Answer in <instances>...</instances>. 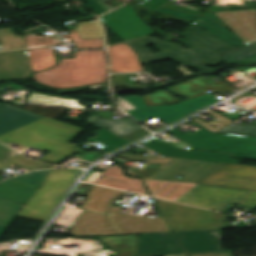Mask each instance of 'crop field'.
<instances>
[{
	"instance_id": "crop-field-1",
	"label": "crop field",
	"mask_w": 256,
	"mask_h": 256,
	"mask_svg": "<svg viewBox=\"0 0 256 256\" xmlns=\"http://www.w3.org/2000/svg\"><path fill=\"white\" fill-rule=\"evenodd\" d=\"M183 32L184 38L178 42L187 47V50L178 44L164 42L154 37L127 43L137 51L142 64L170 58L177 64H184L200 72L213 71L205 66L222 64L218 55L225 50L235 48L192 23ZM149 44L154 45L161 53L151 54L146 48Z\"/></svg>"
},
{
	"instance_id": "crop-field-2",
	"label": "crop field",
	"mask_w": 256,
	"mask_h": 256,
	"mask_svg": "<svg viewBox=\"0 0 256 256\" xmlns=\"http://www.w3.org/2000/svg\"><path fill=\"white\" fill-rule=\"evenodd\" d=\"M80 131L81 129L44 117L1 135L0 142L3 144L14 142L26 147L48 151L50 153L41 159V161L58 165L76 153L72 149L77 146L75 144H69V142Z\"/></svg>"
},
{
	"instance_id": "crop-field-3",
	"label": "crop field",
	"mask_w": 256,
	"mask_h": 256,
	"mask_svg": "<svg viewBox=\"0 0 256 256\" xmlns=\"http://www.w3.org/2000/svg\"><path fill=\"white\" fill-rule=\"evenodd\" d=\"M193 135H185L175 129L168 133L182 139L191 146L187 149L233 153L232 157L256 160V137L213 133L204 127Z\"/></svg>"
},
{
	"instance_id": "crop-field-4",
	"label": "crop field",
	"mask_w": 256,
	"mask_h": 256,
	"mask_svg": "<svg viewBox=\"0 0 256 256\" xmlns=\"http://www.w3.org/2000/svg\"><path fill=\"white\" fill-rule=\"evenodd\" d=\"M173 231L226 229L227 214L154 199Z\"/></svg>"
},
{
	"instance_id": "crop-field-5",
	"label": "crop field",
	"mask_w": 256,
	"mask_h": 256,
	"mask_svg": "<svg viewBox=\"0 0 256 256\" xmlns=\"http://www.w3.org/2000/svg\"><path fill=\"white\" fill-rule=\"evenodd\" d=\"M79 171L77 169L53 170L18 216L46 221L48 215Z\"/></svg>"
},
{
	"instance_id": "crop-field-6",
	"label": "crop field",
	"mask_w": 256,
	"mask_h": 256,
	"mask_svg": "<svg viewBox=\"0 0 256 256\" xmlns=\"http://www.w3.org/2000/svg\"><path fill=\"white\" fill-rule=\"evenodd\" d=\"M178 202L224 212L227 204L256 206V192L198 184Z\"/></svg>"
},
{
	"instance_id": "crop-field-7",
	"label": "crop field",
	"mask_w": 256,
	"mask_h": 256,
	"mask_svg": "<svg viewBox=\"0 0 256 256\" xmlns=\"http://www.w3.org/2000/svg\"><path fill=\"white\" fill-rule=\"evenodd\" d=\"M124 99L136 108L127 112L138 121L141 122L154 115L168 124L208 104L217 102L216 99L210 94L203 95L198 98L176 104L174 106L160 107H146L142 98L137 95H131Z\"/></svg>"
},
{
	"instance_id": "crop-field-8",
	"label": "crop field",
	"mask_w": 256,
	"mask_h": 256,
	"mask_svg": "<svg viewBox=\"0 0 256 256\" xmlns=\"http://www.w3.org/2000/svg\"><path fill=\"white\" fill-rule=\"evenodd\" d=\"M76 88L105 83L104 50L74 52Z\"/></svg>"
},
{
	"instance_id": "crop-field-9",
	"label": "crop field",
	"mask_w": 256,
	"mask_h": 256,
	"mask_svg": "<svg viewBox=\"0 0 256 256\" xmlns=\"http://www.w3.org/2000/svg\"><path fill=\"white\" fill-rule=\"evenodd\" d=\"M100 19L124 41L156 33L148 25L141 22L131 6L112 11Z\"/></svg>"
},
{
	"instance_id": "crop-field-10",
	"label": "crop field",
	"mask_w": 256,
	"mask_h": 256,
	"mask_svg": "<svg viewBox=\"0 0 256 256\" xmlns=\"http://www.w3.org/2000/svg\"><path fill=\"white\" fill-rule=\"evenodd\" d=\"M114 206L111 203L107 209V214L119 234L171 231L163 217L150 218L121 215L120 211L123 207Z\"/></svg>"
},
{
	"instance_id": "crop-field-11",
	"label": "crop field",
	"mask_w": 256,
	"mask_h": 256,
	"mask_svg": "<svg viewBox=\"0 0 256 256\" xmlns=\"http://www.w3.org/2000/svg\"><path fill=\"white\" fill-rule=\"evenodd\" d=\"M201 183L256 191V167L226 164Z\"/></svg>"
},
{
	"instance_id": "crop-field-12",
	"label": "crop field",
	"mask_w": 256,
	"mask_h": 256,
	"mask_svg": "<svg viewBox=\"0 0 256 256\" xmlns=\"http://www.w3.org/2000/svg\"><path fill=\"white\" fill-rule=\"evenodd\" d=\"M140 145L148 149H151L165 157H170V158L233 163V164H238L239 162V160L230 159L231 154H228V153L183 150L157 137H154Z\"/></svg>"
},
{
	"instance_id": "crop-field-13",
	"label": "crop field",
	"mask_w": 256,
	"mask_h": 256,
	"mask_svg": "<svg viewBox=\"0 0 256 256\" xmlns=\"http://www.w3.org/2000/svg\"><path fill=\"white\" fill-rule=\"evenodd\" d=\"M183 254L171 232L140 234L138 256Z\"/></svg>"
},
{
	"instance_id": "crop-field-14",
	"label": "crop field",
	"mask_w": 256,
	"mask_h": 256,
	"mask_svg": "<svg viewBox=\"0 0 256 256\" xmlns=\"http://www.w3.org/2000/svg\"><path fill=\"white\" fill-rule=\"evenodd\" d=\"M214 13L245 44L256 42V10Z\"/></svg>"
},
{
	"instance_id": "crop-field-15",
	"label": "crop field",
	"mask_w": 256,
	"mask_h": 256,
	"mask_svg": "<svg viewBox=\"0 0 256 256\" xmlns=\"http://www.w3.org/2000/svg\"><path fill=\"white\" fill-rule=\"evenodd\" d=\"M68 233L73 236L118 235L107 214L88 210L82 213Z\"/></svg>"
},
{
	"instance_id": "crop-field-16",
	"label": "crop field",
	"mask_w": 256,
	"mask_h": 256,
	"mask_svg": "<svg viewBox=\"0 0 256 256\" xmlns=\"http://www.w3.org/2000/svg\"><path fill=\"white\" fill-rule=\"evenodd\" d=\"M187 253L221 250V231H179L175 232Z\"/></svg>"
},
{
	"instance_id": "crop-field-17",
	"label": "crop field",
	"mask_w": 256,
	"mask_h": 256,
	"mask_svg": "<svg viewBox=\"0 0 256 256\" xmlns=\"http://www.w3.org/2000/svg\"><path fill=\"white\" fill-rule=\"evenodd\" d=\"M31 72L27 50L0 53V80L24 79Z\"/></svg>"
},
{
	"instance_id": "crop-field-18",
	"label": "crop field",
	"mask_w": 256,
	"mask_h": 256,
	"mask_svg": "<svg viewBox=\"0 0 256 256\" xmlns=\"http://www.w3.org/2000/svg\"><path fill=\"white\" fill-rule=\"evenodd\" d=\"M111 73L141 71L138 57L126 43L108 47Z\"/></svg>"
},
{
	"instance_id": "crop-field-19",
	"label": "crop field",
	"mask_w": 256,
	"mask_h": 256,
	"mask_svg": "<svg viewBox=\"0 0 256 256\" xmlns=\"http://www.w3.org/2000/svg\"><path fill=\"white\" fill-rule=\"evenodd\" d=\"M37 115L11 107L4 103L0 104V135L16 129L20 126L40 119Z\"/></svg>"
},
{
	"instance_id": "crop-field-20",
	"label": "crop field",
	"mask_w": 256,
	"mask_h": 256,
	"mask_svg": "<svg viewBox=\"0 0 256 256\" xmlns=\"http://www.w3.org/2000/svg\"><path fill=\"white\" fill-rule=\"evenodd\" d=\"M193 23L217 35L236 47L244 44L234 33L226 29L227 26L222 24L220 19L209 11L196 19Z\"/></svg>"
},
{
	"instance_id": "crop-field-21",
	"label": "crop field",
	"mask_w": 256,
	"mask_h": 256,
	"mask_svg": "<svg viewBox=\"0 0 256 256\" xmlns=\"http://www.w3.org/2000/svg\"><path fill=\"white\" fill-rule=\"evenodd\" d=\"M37 190L6 180L0 184V198L25 205Z\"/></svg>"
},
{
	"instance_id": "crop-field-22",
	"label": "crop field",
	"mask_w": 256,
	"mask_h": 256,
	"mask_svg": "<svg viewBox=\"0 0 256 256\" xmlns=\"http://www.w3.org/2000/svg\"><path fill=\"white\" fill-rule=\"evenodd\" d=\"M87 122L97 129L107 128L119 138L141 128L128 118L122 120H102L94 115L88 118Z\"/></svg>"
},
{
	"instance_id": "crop-field-23",
	"label": "crop field",
	"mask_w": 256,
	"mask_h": 256,
	"mask_svg": "<svg viewBox=\"0 0 256 256\" xmlns=\"http://www.w3.org/2000/svg\"><path fill=\"white\" fill-rule=\"evenodd\" d=\"M75 88L74 59H61L57 67L56 89Z\"/></svg>"
},
{
	"instance_id": "crop-field-24",
	"label": "crop field",
	"mask_w": 256,
	"mask_h": 256,
	"mask_svg": "<svg viewBox=\"0 0 256 256\" xmlns=\"http://www.w3.org/2000/svg\"><path fill=\"white\" fill-rule=\"evenodd\" d=\"M34 72L56 65L54 51L51 48L28 50Z\"/></svg>"
},
{
	"instance_id": "crop-field-25",
	"label": "crop field",
	"mask_w": 256,
	"mask_h": 256,
	"mask_svg": "<svg viewBox=\"0 0 256 256\" xmlns=\"http://www.w3.org/2000/svg\"><path fill=\"white\" fill-rule=\"evenodd\" d=\"M97 136L88 140V142H99L103 144L106 148L101 149L106 153H110L128 143H130L125 138H118L114 134H112L107 129L96 130Z\"/></svg>"
},
{
	"instance_id": "crop-field-26",
	"label": "crop field",
	"mask_w": 256,
	"mask_h": 256,
	"mask_svg": "<svg viewBox=\"0 0 256 256\" xmlns=\"http://www.w3.org/2000/svg\"><path fill=\"white\" fill-rule=\"evenodd\" d=\"M166 2H168V0H147L140 4L155 11V12L173 16V17L180 18L183 20L191 21V22L194 21L198 17V15H195V14H191V13L183 12L180 10L161 6L162 4H164Z\"/></svg>"
},
{
	"instance_id": "crop-field-27",
	"label": "crop field",
	"mask_w": 256,
	"mask_h": 256,
	"mask_svg": "<svg viewBox=\"0 0 256 256\" xmlns=\"http://www.w3.org/2000/svg\"><path fill=\"white\" fill-rule=\"evenodd\" d=\"M225 62H256V43L221 55Z\"/></svg>"
},
{
	"instance_id": "crop-field-28",
	"label": "crop field",
	"mask_w": 256,
	"mask_h": 256,
	"mask_svg": "<svg viewBox=\"0 0 256 256\" xmlns=\"http://www.w3.org/2000/svg\"><path fill=\"white\" fill-rule=\"evenodd\" d=\"M26 103L77 107L73 99L55 97V96H46L41 93H33V92L30 93ZM77 108H85V107H77Z\"/></svg>"
},
{
	"instance_id": "crop-field-29",
	"label": "crop field",
	"mask_w": 256,
	"mask_h": 256,
	"mask_svg": "<svg viewBox=\"0 0 256 256\" xmlns=\"http://www.w3.org/2000/svg\"><path fill=\"white\" fill-rule=\"evenodd\" d=\"M24 206L0 200V225L8 227Z\"/></svg>"
},
{
	"instance_id": "crop-field-30",
	"label": "crop field",
	"mask_w": 256,
	"mask_h": 256,
	"mask_svg": "<svg viewBox=\"0 0 256 256\" xmlns=\"http://www.w3.org/2000/svg\"><path fill=\"white\" fill-rule=\"evenodd\" d=\"M52 170L36 171L27 174H23L8 180H12L18 183H22L28 186L37 188L44 179L49 175Z\"/></svg>"
},
{
	"instance_id": "crop-field-31",
	"label": "crop field",
	"mask_w": 256,
	"mask_h": 256,
	"mask_svg": "<svg viewBox=\"0 0 256 256\" xmlns=\"http://www.w3.org/2000/svg\"><path fill=\"white\" fill-rule=\"evenodd\" d=\"M10 164L21 166V167H24L29 170L52 167L45 163L26 159L18 154L16 156L12 157L10 160H8L6 163H4V164L0 163V170H2L4 167H6Z\"/></svg>"
},
{
	"instance_id": "crop-field-32",
	"label": "crop field",
	"mask_w": 256,
	"mask_h": 256,
	"mask_svg": "<svg viewBox=\"0 0 256 256\" xmlns=\"http://www.w3.org/2000/svg\"><path fill=\"white\" fill-rule=\"evenodd\" d=\"M64 39L71 38L79 49L104 48L103 39L82 40L76 30H71L70 35L63 36Z\"/></svg>"
},
{
	"instance_id": "crop-field-33",
	"label": "crop field",
	"mask_w": 256,
	"mask_h": 256,
	"mask_svg": "<svg viewBox=\"0 0 256 256\" xmlns=\"http://www.w3.org/2000/svg\"><path fill=\"white\" fill-rule=\"evenodd\" d=\"M32 77L36 82L48 88L55 89L56 67L42 72H38Z\"/></svg>"
},
{
	"instance_id": "crop-field-34",
	"label": "crop field",
	"mask_w": 256,
	"mask_h": 256,
	"mask_svg": "<svg viewBox=\"0 0 256 256\" xmlns=\"http://www.w3.org/2000/svg\"><path fill=\"white\" fill-rule=\"evenodd\" d=\"M25 38L27 48L61 44L57 43L52 37L25 36Z\"/></svg>"
},
{
	"instance_id": "crop-field-35",
	"label": "crop field",
	"mask_w": 256,
	"mask_h": 256,
	"mask_svg": "<svg viewBox=\"0 0 256 256\" xmlns=\"http://www.w3.org/2000/svg\"><path fill=\"white\" fill-rule=\"evenodd\" d=\"M97 16L107 12L96 1L98 0H82Z\"/></svg>"
},
{
	"instance_id": "crop-field-36",
	"label": "crop field",
	"mask_w": 256,
	"mask_h": 256,
	"mask_svg": "<svg viewBox=\"0 0 256 256\" xmlns=\"http://www.w3.org/2000/svg\"><path fill=\"white\" fill-rule=\"evenodd\" d=\"M15 154H17V153L0 145V162H2V163L6 162L8 159H10Z\"/></svg>"
},
{
	"instance_id": "crop-field-37",
	"label": "crop field",
	"mask_w": 256,
	"mask_h": 256,
	"mask_svg": "<svg viewBox=\"0 0 256 256\" xmlns=\"http://www.w3.org/2000/svg\"><path fill=\"white\" fill-rule=\"evenodd\" d=\"M148 133H149L148 131H146L145 129L141 128V129H139V130H137V131H135L133 133H130V134L124 136V137L132 142V141H134V140H136V139H138V138H140V137H142V136H144V135H146Z\"/></svg>"
},
{
	"instance_id": "crop-field-38",
	"label": "crop field",
	"mask_w": 256,
	"mask_h": 256,
	"mask_svg": "<svg viewBox=\"0 0 256 256\" xmlns=\"http://www.w3.org/2000/svg\"><path fill=\"white\" fill-rule=\"evenodd\" d=\"M113 160L117 161L118 163H120L121 165L124 164L126 161H122V160H119V159H115V158H112Z\"/></svg>"
},
{
	"instance_id": "crop-field-39",
	"label": "crop field",
	"mask_w": 256,
	"mask_h": 256,
	"mask_svg": "<svg viewBox=\"0 0 256 256\" xmlns=\"http://www.w3.org/2000/svg\"><path fill=\"white\" fill-rule=\"evenodd\" d=\"M6 227L0 226V235L5 231Z\"/></svg>"
},
{
	"instance_id": "crop-field-40",
	"label": "crop field",
	"mask_w": 256,
	"mask_h": 256,
	"mask_svg": "<svg viewBox=\"0 0 256 256\" xmlns=\"http://www.w3.org/2000/svg\"><path fill=\"white\" fill-rule=\"evenodd\" d=\"M179 256H187V255H179Z\"/></svg>"
},
{
	"instance_id": "crop-field-41",
	"label": "crop field",
	"mask_w": 256,
	"mask_h": 256,
	"mask_svg": "<svg viewBox=\"0 0 256 256\" xmlns=\"http://www.w3.org/2000/svg\"><path fill=\"white\" fill-rule=\"evenodd\" d=\"M3 178H0V180H2Z\"/></svg>"
}]
</instances>
